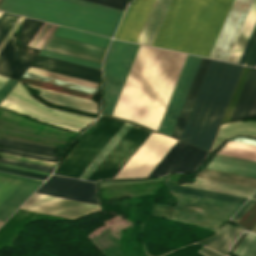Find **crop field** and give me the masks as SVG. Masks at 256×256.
<instances>
[{
	"label": "crop field",
	"instance_id": "obj_1",
	"mask_svg": "<svg viewBox=\"0 0 256 256\" xmlns=\"http://www.w3.org/2000/svg\"><path fill=\"white\" fill-rule=\"evenodd\" d=\"M186 56L141 45L112 115L156 130Z\"/></svg>",
	"mask_w": 256,
	"mask_h": 256
},
{
	"label": "crop field",
	"instance_id": "obj_2",
	"mask_svg": "<svg viewBox=\"0 0 256 256\" xmlns=\"http://www.w3.org/2000/svg\"><path fill=\"white\" fill-rule=\"evenodd\" d=\"M233 0H171L153 46L208 57Z\"/></svg>",
	"mask_w": 256,
	"mask_h": 256
},
{
	"label": "crop field",
	"instance_id": "obj_3",
	"mask_svg": "<svg viewBox=\"0 0 256 256\" xmlns=\"http://www.w3.org/2000/svg\"><path fill=\"white\" fill-rule=\"evenodd\" d=\"M242 68L211 61L180 140L210 149Z\"/></svg>",
	"mask_w": 256,
	"mask_h": 256
},
{
	"label": "crop field",
	"instance_id": "obj_4",
	"mask_svg": "<svg viewBox=\"0 0 256 256\" xmlns=\"http://www.w3.org/2000/svg\"><path fill=\"white\" fill-rule=\"evenodd\" d=\"M0 10L108 37L124 12L82 0H4Z\"/></svg>",
	"mask_w": 256,
	"mask_h": 256
},
{
	"label": "crop field",
	"instance_id": "obj_5",
	"mask_svg": "<svg viewBox=\"0 0 256 256\" xmlns=\"http://www.w3.org/2000/svg\"><path fill=\"white\" fill-rule=\"evenodd\" d=\"M124 122L100 116L92 133H85L56 168L55 174L78 178Z\"/></svg>",
	"mask_w": 256,
	"mask_h": 256
},
{
	"label": "crop field",
	"instance_id": "obj_6",
	"mask_svg": "<svg viewBox=\"0 0 256 256\" xmlns=\"http://www.w3.org/2000/svg\"><path fill=\"white\" fill-rule=\"evenodd\" d=\"M42 25H43V22L25 18L24 25H23V27L21 29V33H20V40L24 47L20 51V53L17 55V57L14 59V61L12 62L13 58L15 57V55L18 51V48L15 46V37L12 36V38L9 40V42L6 44V46L0 52V74L1 75L16 78V79L20 78V76L23 74V72L26 70V68L29 66V64L33 61V59L39 53L40 49L44 46V44L47 42V40L49 39V37L51 36V34L54 32V30L57 27L55 25H52V27H51V24H48V23H46V25L44 23V25H45V26L43 25L44 27ZM41 26L43 27V29ZM40 27L42 30L40 29ZM39 29L41 30V32ZM48 29H49V31H48ZM37 31H38V33L40 32L38 36H37V34H38ZM45 33H46V35H45ZM34 35H35V37L37 36L36 39H35ZM42 37H43V39H42ZM31 39H32V41H31ZM33 40H34V42H33ZM39 41H40V43H39ZM28 43H29V46L32 43L31 46H33V47H36V45L39 43L37 45V48H40V49L29 47V46H27Z\"/></svg>",
	"mask_w": 256,
	"mask_h": 256
},
{
	"label": "crop field",
	"instance_id": "obj_7",
	"mask_svg": "<svg viewBox=\"0 0 256 256\" xmlns=\"http://www.w3.org/2000/svg\"><path fill=\"white\" fill-rule=\"evenodd\" d=\"M171 193L177 201L176 207L172 209L171 219L173 220L217 228L241 207L240 204L176 192Z\"/></svg>",
	"mask_w": 256,
	"mask_h": 256
},
{
	"label": "crop field",
	"instance_id": "obj_8",
	"mask_svg": "<svg viewBox=\"0 0 256 256\" xmlns=\"http://www.w3.org/2000/svg\"><path fill=\"white\" fill-rule=\"evenodd\" d=\"M139 46L113 40L103 64L104 114H112Z\"/></svg>",
	"mask_w": 256,
	"mask_h": 256
},
{
	"label": "crop field",
	"instance_id": "obj_9",
	"mask_svg": "<svg viewBox=\"0 0 256 256\" xmlns=\"http://www.w3.org/2000/svg\"><path fill=\"white\" fill-rule=\"evenodd\" d=\"M15 87V86H14ZM10 93V92H9ZM32 118L78 132L92 119L50 109L29 96L20 82L0 104Z\"/></svg>",
	"mask_w": 256,
	"mask_h": 256
},
{
	"label": "crop field",
	"instance_id": "obj_10",
	"mask_svg": "<svg viewBox=\"0 0 256 256\" xmlns=\"http://www.w3.org/2000/svg\"><path fill=\"white\" fill-rule=\"evenodd\" d=\"M175 142L152 132L115 178L147 177Z\"/></svg>",
	"mask_w": 256,
	"mask_h": 256
},
{
	"label": "crop field",
	"instance_id": "obj_11",
	"mask_svg": "<svg viewBox=\"0 0 256 256\" xmlns=\"http://www.w3.org/2000/svg\"><path fill=\"white\" fill-rule=\"evenodd\" d=\"M150 133L132 125L87 180L113 179Z\"/></svg>",
	"mask_w": 256,
	"mask_h": 256
},
{
	"label": "crop field",
	"instance_id": "obj_12",
	"mask_svg": "<svg viewBox=\"0 0 256 256\" xmlns=\"http://www.w3.org/2000/svg\"><path fill=\"white\" fill-rule=\"evenodd\" d=\"M202 58L188 55L170 97L158 131L171 135Z\"/></svg>",
	"mask_w": 256,
	"mask_h": 256
},
{
	"label": "crop field",
	"instance_id": "obj_13",
	"mask_svg": "<svg viewBox=\"0 0 256 256\" xmlns=\"http://www.w3.org/2000/svg\"><path fill=\"white\" fill-rule=\"evenodd\" d=\"M253 0H234L209 57L227 60Z\"/></svg>",
	"mask_w": 256,
	"mask_h": 256
},
{
	"label": "crop field",
	"instance_id": "obj_14",
	"mask_svg": "<svg viewBox=\"0 0 256 256\" xmlns=\"http://www.w3.org/2000/svg\"><path fill=\"white\" fill-rule=\"evenodd\" d=\"M36 192L99 205L92 182L52 175Z\"/></svg>",
	"mask_w": 256,
	"mask_h": 256
},
{
	"label": "crop field",
	"instance_id": "obj_15",
	"mask_svg": "<svg viewBox=\"0 0 256 256\" xmlns=\"http://www.w3.org/2000/svg\"><path fill=\"white\" fill-rule=\"evenodd\" d=\"M21 207L70 218L100 210L99 206L96 205L37 193H34Z\"/></svg>",
	"mask_w": 256,
	"mask_h": 256
},
{
	"label": "crop field",
	"instance_id": "obj_16",
	"mask_svg": "<svg viewBox=\"0 0 256 256\" xmlns=\"http://www.w3.org/2000/svg\"><path fill=\"white\" fill-rule=\"evenodd\" d=\"M206 153V151L177 141L148 177L170 171L190 172L196 168Z\"/></svg>",
	"mask_w": 256,
	"mask_h": 256
},
{
	"label": "crop field",
	"instance_id": "obj_17",
	"mask_svg": "<svg viewBox=\"0 0 256 256\" xmlns=\"http://www.w3.org/2000/svg\"><path fill=\"white\" fill-rule=\"evenodd\" d=\"M155 0H135L128 7L114 36L136 42Z\"/></svg>",
	"mask_w": 256,
	"mask_h": 256
},
{
	"label": "crop field",
	"instance_id": "obj_18",
	"mask_svg": "<svg viewBox=\"0 0 256 256\" xmlns=\"http://www.w3.org/2000/svg\"><path fill=\"white\" fill-rule=\"evenodd\" d=\"M32 67L92 81L98 83L100 70L44 57L38 55L31 65Z\"/></svg>",
	"mask_w": 256,
	"mask_h": 256
},
{
	"label": "crop field",
	"instance_id": "obj_19",
	"mask_svg": "<svg viewBox=\"0 0 256 256\" xmlns=\"http://www.w3.org/2000/svg\"><path fill=\"white\" fill-rule=\"evenodd\" d=\"M43 49L101 63L106 49L52 36ZM105 55V54H104Z\"/></svg>",
	"mask_w": 256,
	"mask_h": 256
},
{
	"label": "crop field",
	"instance_id": "obj_20",
	"mask_svg": "<svg viewBox=\"0 0 256 256\" xmlns=\"http://www.w3.org/2000/svg\"><path fill=\"white\" fill-rule=\"evenodd\" d=\"M42 182L41 180L26 178L0 204V222L3 223Z\"/></svg>",
	"mask_w": 256,
	"mask_h": 256
},
{
	"label": "crop field",
	"instance_id": "obj_21",
	"mask_svg": "<svg viewBox=\"0 0 256 256\" xmlns=\"http://www.w3.org/2000/svg\"><path fill=\"white\" fill-rule=\"evenodd\" d=\"M213 157H212V159H213ZM209 162H207L205 164L204 168L206 167V165ZM207 168L224 171V172L240 174V175L256 177V163L239 160V159H234V158H229V157H224V156H219V155L215 156L214 160L208 164Z\"/></svg>",
	"mask_w": 256,
	"mask_h": 256
},
{
	"label": "crop field",
	"instance_id": "obj_22",
	"mask_svg": "<svg viewBox=\"0 0 256 256\" xmlns=\"http://www.w3.org/2000/svg\"><path fill=\"white\" fill-rule=\"evenodd\" d=\"M210 61L211 60L209 59H202L197 74L188 93V96L186 98V101L184 103V106L182 108V111L180 113V116L171 135L172 137H175L177 139L179 138Z\"/></svg>",
	"mask_w": 256,
	"mask_h": 256
},
{
	"label": "crop field",
	"instance_id": "obj_23",
	"mask_svg": "<svg viewBox=\"0 0 256 256\" xmlns=\"http://www.w3.org/2000/svg\"><path fill=\"white\" fill-rule=\"evenodd\" d=\"M182 185L246 198H249L252 195V193L256 190L255 188L239 186L198 177H196L195 183Z\"/></svg>",
	"mask_w": 256,
	"mask_h": 256
},
{
	"label": "crop field",
	"instance_id": "obj_24",
	"mask_svg": "<svg viewBox=\"0 0 256 256\" xmlns=\"http://www.w3.org/2000/svg\"><path fill=\"white\" fill-rule=\"evenodd\" d=\"M170 0H156L137 42L150 45ZM152 45V44H151Z\"/></svg>",
	"mask_w": 256,
	"mask_h": 256
},
{
	"label": "crop field",
	"instance_id": "obj_25",
	"mask_svg": "<svg viewBox=\"0 0 256 256\" xmlns=\"http://www.w3.org/2000/svg\"><path fill=\"white\" fill-rule=\"evenodd\" d=\"M32 87L41 91L39 95L42 98L47 99L53 103L65 105L68 107L76 108V109L87 111V112L96 113V103L92 101L50 91V90L35 87V86H32Z\"/></svg>",
	"mask_w": 256,
	"mask_h": 256
},
{
	"label": "crop field",
	"instance_id": "obj_26",
	"mask_svg": "<svg viewBox=\"0 0 256 256\" xmlns=\"http://www.w3.org/2000/svg\"><path fill=\"white\" fill-rule=\"evenodd\" d=\"M256 94V69L252 68L230 120L247 116Z\"/></svg>",
	"mask_w": 256,
	"mask_h": 256
},
{
	"label": "crop field",
	"instance_id": "obj_27",
	"mask_svg": "<svg viewBox=\"0 0 256 256\" xmlns=\"http://www.w3.org/2000/svg\"><path fill=\"white\" fill-rule=\"evenodd\" d=\"M255 23H256V0H254L252 4V7L248 13V16L244 22V25L239 33V36L235 42V45L227 61L235 62V63L238 62Z\"/></svg>",
	"mask_w": 256,
	"mask_h": 256
},
{
	"label": "crop field",
	"instance_id": "obj_28",
	"mask_svg": "<svg viewBox=\"0 0 256 256\" xmlns=\"http://www.w3.org/2000/svg\"><path fill=\"white\" fill-rule=\"evenodd\" d=\"M243 231L244 230L226 224L219 229L216 235L210 241H208L205 246L210 247L224 255H228L230 245Z\"/></svg>",
	"mask_w": 256,
	"mask_h": 256
},
{
	"label": "crop field",
	"instance_id": "obj_29",
	"mask_svg": "<svg viewBox=\"0 0 256 256\" xmlns=\"http://www.w3.org/2000/svg\"><path fill=\"white\" fill-rule=\"evenodd\" d=\"M235 134H248V135L256 136V122L247 121V122H236V123L221 125L211 149H214L224 139Z\"/></svg>",
	"mask_w": 256,
	"mask_h": 256
},
{
	"label": "crop field",
	"instance_id": "obj_30",
	"mask_svg": "<svg viewBox=\"0 0 256 256\" xmlns=\"http://www.w3.org/2000/svg\"><path fill=\"white\" fill-rule=\"evenodd\" d=\"M54 35L102 46V47H108L111 39L88 34V33H83L63 27H58V29L55 31Z\"/></svg>",
	"mask_w": 256,
	"mask_h": 256
},
{
	"label": "crop field",
	"instance_id": "obj_31",
	"mask_svg": "<svg viewBox=\"0 0 256 256\" xmlns=\"http://www.w3.org/2000/svg\"><path fill=\"white\" fill-rule=\"evenodd\" d=\"M196 176L256 188V179L203 169Z\"/></svg>",
	"mask_w": 256,
	"mask_h": 256
},
{
	"label": "crop field",
	"instance_id": "obj_32",
	"mask_svg": "<svg viewBox=\"0 0 256 256\" xmlns=\"http://www.w3.org/2000/svg\"><path fill=\"white\" fill-rule=\"evenodd\" d=\"M168 190L243 204L247 199L183 186L165 184Z\"/></svg>",
	"mask_w": 256,
	"mask_h": 256
},
{
	"label": "crop field",
	"instance_id": "obj_33",
	"mask_svg": "<svg viewBox=\"0 0 256 256\" xmlns=\"http://www.w3.org/2000/svg\"><path fill=\"white\" fill-rule=\"evenodd\" d=\"M131 124L125 123L123 127L117 132V134L111 139V141L105 146V148L99 153V155L93 160V162L87 167V169L81 174L79 179L86 180L108 152L114 147L124 133L129 129Z\"/></svg>",
	"mask_w": 256,
	"mask_h": 256
},
{
	"label": "crop field",
	"instance_id": "obj_34",
	"mask_svg": "<svg viewBox=\"0 0 256 256\" xmlns=\"http://www.w3.org/2000/svg\"><path fill=\"white\" fill-rule=\"evenodd\" d=\"M0 146L32 151V152H37V153L57 157V155L53 153V151L55 150L54 148L43 147V146L13 141V140L0 139Z\"/></svg>",
	"mask_w": 256,
	"mask_h": 256
},
{
	"label": "crop field",
	"instance_id": "obj_35",
	"mask_svg": "<svg viewBox=\"0 0 256 256\" xmlns=\"http://www.w3.org/2000/svg\"><path fill=\"white\" fill-rule=\"evenodd\" d=\"M24 177L0 173V203L24 180Z\"/></svg>",
	"mask_w": 256,
	"mask_h": 256
},
{
	"label": "crop field",
	"instance_id": "obj_36",
	"mask_svg": "<svg viewBox=\"0 0 256 256\" xmlns=\"http://www.w3.org/2000/svg\"><path fill=\"white\" fill-rule=\"evenodd\" d=\"M27 72H31V73H35V74H39V75H43V76L63 80V81H67V82H71V83H75V84H79V85H83V86H87V87H91V88H95V89L98 85L96 83H92V82H88V81H84V80H80V79H76V78H72V77H68V76H64V75L44 71V70H40V69H36V68H32V67H29Z\"/></svg>",
	"mask_w": 256,
	"mask_h": 256
},
{
	"label": "crop field",
	"instance_id": "obj_37",
	"mask_svg": "<svg viewBox=\"0 0 256 256\" xmlns=\"http://www.w3.org/2000/svg\"><path fill=\"white\" fill-rule=\"evenodd\" d=\"M234 253L239 256H256V235L248 233Z\"/></svg>",
	"mask_w": 256,
	"mask_h": 256
},
{
	"label": "crop field",
	"instance_id": "obj_38",
	"mask_svg": "<svg viewBox=\"0 0 256 256\" xmlns=\"http://www.w3.org/2000/svg\"><path fill=\"white\" fill-rule=\"evenodd\" d=\"M250 69L251 68H248V67L244 68L243 73H242V75L240 77V80L238 82V85L236 87V90H235L234 95H233V97L231 99V102L229 104V107L227 109V112H226V114L224 116V119H223L222 123H224V122H226V121H228L230 119L231 114H232V112L234 110V107H235L236 102H237V100L239 98V95H240L241 90H242V88L244 86V83L246 81V78H247V76L249 74Z\"/></svg>",
	"mask_w": 256,
	"mask_h": 256
},
{
	"label": "crop field",
	"instance_id": "obj_39",
	"mask_svg": "<svg viewBox=\"0 0 256 256\" xmlns=\"http://www.w3.org/2000/svg\"><path fill=\"white\" fill-rule=\"evenodd\" d=\"M24 76L29 77V78H33V79H37V80H41V81H45V82H49V83H53V84H57V85H61V86H65V87H69V88H73V89H77V90H81V91H85V92H89V93H93V94H95V92H96L95 89H91V88H87V87H83V86H79V85L59 81V80H55V79H51V78H47V77H43V76L31 74V73H27V72H25Z\"/></svg>",
	"mask_w": 256,
	"mask_h": 256
},
{
	"label": "crop field",
	"instance_id": "obj_40",
	"mask_svg": "<svg viewBox=\"0 0 256 256\" xmlns=\"http://www.w3.org/2000/svg\"><path fill=\"white\" fill-rule=\"evenodd\" d=\"M40 55H44V56H48V57H52V58H56V59H60V60H64V61H68V62H72V63H76V64L101 70V65L99 64H95V63H91V62H87V61H83V60H79V59H75V58H71V57H67V56H63V55H59V54H55V53H51L43 50H41Z\"/></svg>",
	"mask_w": 256,
	"mask_h": 256
},
{
	"label": "crop field",
	"instance_id": "obj_41",
	"mask_svg": "<svg viewBox=\"0 0 256 256\" xmlns=\"http://www.w3.org/2000/svg\"><path fill=\"white\" fill-rule=\"evenodd\" d=\"M0 162L13 164V165H17V166H22V167H26V168H31V169H35V170L45 171V172H49V173H51L53 170V168L30 164V163H26V162H22V161H18V160L6 159V158H0Z\"/></svg>",
	"mask_w": 256,
	"mask_h": 256
},
{
	"label": "crop field",
	"instance_id": "obj_42",
	"mask_svg": "<svg viewBox=\"0 0 256 256\" xmlns=\"http://www.w3.org/2000/svg\"><path fill=\"white\" fill-rule=\"evenodd\" d=\"M18 18V15L10 13L7 14L4 21L0 24V42L2 41V39L5 37L7 32L10 30V28L13 26V24L16 22Z\"/></svg>",
	"mask_w": 256,
	"mask_h": 256
},
{
	"label": "crop field",
	"instance_id": "obj_43",
	"mask_svg": "<svg viewBox=\"0 0 256 256\" xmlns=\"http://www.w3.org/2000/svg\"><path fill=\"white\" fill-rule=\"evenodd\" d=\"M0 156L18 159V160H22V161H26V162H30V163L44 164V165H48V166H52V167H55V165H56V163H54V162L40 161V160H36V159H31V158H27V157H22V156L12 155V154L2 153V152H0Z\"/></svg>",
	"mask_w": 256,
	"mask_h": 256
},
{
	"label": "crop field",
	"instance_id": "obj_44",
	"mask_svg": "<svg viewBox=\"0 0 256 256\" xmlns=\"http://www.w3.org/2000/svg\"><path fill=\"white\" fill-rule=\"evenodd\" d=\"M86 1L124 10L127 0H86Z\"/></svg>",
	"mask_w": 256,
	"mask_h": 256
},
{
	"label": "crop field",
	"instance_id": "obj_45",
	"mask_svg": "<svg viewBox=\"0 0 256 256\" xmlns=\"http://www.w3.org/2000/svg\"><path fill=\"white\" fill-rule=\"evenodd\" d=\"M255 37H256V25H255V27H254V29L252 31V34H251V36H250V38H249V40L247 42V45H246V47H245V49L243 51V54H242V56H241V58H240L238 63L244 64V62H245V60L247 58V55H248V53L250 51V48H251V46L253 44V41H254Z\"/></svg>",
	"mask_w": 256,
	"mask_h": 256
},
{
	"label": "crop field",
	"instance_id": "obj_46",
	"mask_svg": "<svg viewBox=\"0 0 256 256\" xmlns=\"http://www.w3.org/2000/svg\"><path fill=\"white\" fill-rule=\"evenodd\" d=\"M0 170L7 171V172H12V173H17V174H22V175H27V176H32V177H37V178H42V179H46L48 177L47 175H42V174H37V173H32V172H27V171L2 167V166H0Z\"/></svg>",
	"mask_w": 256,
	"mask_h": 256
},
{
	"label": "crop field",
	"instance_id": "obj_47",
	"mask_svg": "<svg viewBox=\"0 0 256 256\" xmlns=\"http://www.w3.org/2000/svg\"><path fill=\"white\" fill-rule=\"evenodd\" d=\"M255 202H256V200L249 199V200L241 207V209L232 217V220H234V221L237 222Z\"/></svg>",
	"mask_w": 256,
	"mask_h": 256
},
{
	"label": "crop field",
	"instance_id": "obj_48",
	"mask_svg": "<svg viewBox=\"0 0 256 256\" xmlns=\"http://www.w3.org/2000/svg\"><path fill=\"white\" fill-rule=\"evenodd\" d=\"M0 151L8 152V153H13V154H18V155H24V156H30V157H37V158H42L44 160H51L53 161V157H47V156H42V155H37V154H31V153H26V152H21V151H15V150H10V149H5L0 147Z\"/></svg>",
	"mask_w": 256,
	"mask_h": 256
},
{
	"label": "crop field",
	"instance_id": "obj_49",
	"mask_svg": "<svg viewBox=\"0 0 256 256\" xmlns=\"http://www.w3.org/2000/svg\"><path fill=\"white\" fill-rule=\"evenodd\" d=\"M17 81L8 79L0 89V101L6 96Z\"/></svg>",
	"mask_w": 256,
	"mask_h": 256
},
{
	"label": "crop field",
	"instance_id": "obj_50",
	"mask_svg": "<svg viewBox=\"0 0 256 256\" xmlns=\"http://www.w3.org/2000/svg\"><path fill=\"white\" fill-rule=\"evenodd\" d=\"M24 20V17L20 16V18L17 20L15 25L12 27V29L9 31L7 36L4 38V40L0 43V51L4 47V45L7 43V41L10 39L12 34L15 32V30L18 28V26L21 24V22Z\"/></svg>",
	"mask_w": 256,
	"mask_h": 256
},
{
	"label": "crop field",
	"instance_id": "obj_51",
	"mask_svg": "<svg viewBox=\"0 0 256 256\" xmlns=\"http://www.w3.org/2000/svg\"><path fill=\"white\" fill-rule=\"evenodd\" d=\"M248 66H256V41L252 47L251 53L249 55L248 61L246 63Z\"/></svg>",
	"mask_w": 256,
	"mask_h": 256
},
{
	"label": "crop field",
	"instance_id": "obj_52",
	"mask_svg": "<svg viewBox=\"0 0 256 256\" xmlns=\"http://www.w3.org/2000/svg\"><path fill=\"white\" fill-rule=\"evenodd\" d=\"M231 141L256 145V139L245 138V137H236L234 139H231Z\"/></svg>",
	"mask_w": 256,
	"mask_h": 256
},
{
	"label": "crop field",
	"instance_id": "obj_53",
	"mask_svg": "<svg viewBox=\"0 0 256 256\" xmlns=\"http://www.w3.org/2000/svg\"><path fill=\"white\" fill-rule=\"evenodd\" d=\"M198 252H200L201 254H203L204 256H221L205 247L201 248Z\"/></svg>",
	"mask_w": 256,
	"mask_h": 256
},
{
	"label": "crop field",
	"instance_id": "obj_54",
	"mask_svg": "<svg viewBox=\"0 0 256 256\" xmlns=\"http://www.w3.org/2000/svg\"><path fill=\"white\" fill-rule=\"evenodd\" d=\"M247 117H256V96Z\"/></svg>",
	"mask_w": 256,
	"mask_h": 256
},
{
	"label": "crop field",
	"instance_id": "obj_55",
	"mask_svg": "<svg viewBox=\"0 0 256 256\" xmlns=\"http://www.w3.org/2000/svg\"><path fill=\"white\" fill-rule=\"evenodd\" d=\"M0 165L49 175V173L35 171V170L26 169V168H22V167H17V166H13V165H8V164H3V163H0Z\"/></svg>",
	"mask_w": 256,
	"mask_h": 256
},
{
	"label": "crop field",
	"instance_id": "obj_56",
	"mask_svg": "<svg viewBox=\"0 0 256 256\" xmlns=\"http://www.w3.org/2000/svg\"><path fill=\"white\" fill-rule=\"evenodd\" d=\"M6 80H7V78L0 76V87L5 83Z\"/></svg>",
	"mask_w": 256,
	"mask_h": 256
},
{
	"label": "crop field",
	"instance_id": "obj_57",
	"mask_svg": "<svg viewBox=\"0 0 256 256\" xmlns=\"http://www.w3.org/2000/svg\"><path fill=\"white\" fill-rule=\"evenodd\" d=\"M5 15H6V13L3 12L2 16L0 17V23H1V21L4 19Z\"/></svg>",
	"mask_w": 256,
	"mask_h": 256
},
{
	"label": "crop field",
	"instance_id": "obj_58",
	"mask_svg": "<svg viewBox=\"0 0 256 256\" xmlns=\"http://www.w3.org/2000/svg\"><path fill=\"white\" fill-rule=\"evenodd\" d=\"M251 232L256 233V225L253 227V229L251 230Z\"/></svg>",
	"mask_w": 256,
	"mask_h": 256
},
{
	"label": "crop field",
	"instance_id": "obj_59",
	"mask_svg": "<svg viewBox=\"0 0 256 256\" xmlns=\"http://www.w3.org/2000/svg\"><path fill=\"white\" fill-rule=\"evenodd\" d=\"M253 198H256V193L252 196Z\"/></svg>",
	"mask_w": 256,
	"mask_h": 256
},
{
	"label": "crop field",
	"instance_id": "obj_60",
	"mask_svg": "<svg viewBox=\"0 0 256 256\" xmlns=\"http://www.w3.org/2000/svg\"><path fill=\"white\" fill-rule=\"evenodd\" d=\"M2 14V12H0V15Z\"/></svg>",
	"mask_w": 256,
	"mask_h": 256
}]
</instances>
